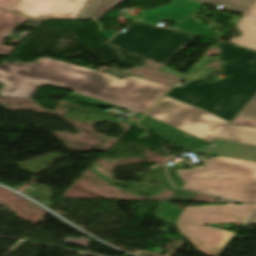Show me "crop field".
I'll list each match as a JSON object with an SVG mask.
<instances>
[{"label":"crop field","mask_w":256,"mask_h":256,"mask_svg":"<svg viewBox=\"0 0 256 256\" xmlns=\"http://www.w3.org/2000/svg\"><path fill=\"white\" fill-rule=\"evenodd\" d=\"M251 220V219H250ZM249 220V221H250ZM251 224H256V215L252 218V220L249 222Z\"/></svg>","instance_id":"crop-field-17"},{"label":"crop field","mask_w":256,"mask_h":256,"mask_svg":"<svg viewBox=\"0 0 256 256\" xmlns=\"http://www.w3.org/2000/svg\"><path fill=\"white\" fill-rule=\"evenodd\" d=\"M198 36L134 21L110 44L150 61L167 66Z\"/></svg>","instance_id":"crop-field-7"},{"label":"crop field","mask_w":256,"mask_h":256,"mask_svg":"<svg viewBox=\"0 0 256 256\" xmlns=\"http://www.w3.org/2000/svg\"><path fill=\"white\" fill-rule=\"evenodd\" d=\"M19 0H0V7L10 9L12 8Z\"/></svg>","instance_id":"crop-field-15"},{"label":"crop field","mask_w":256,"mask_h":256,"mask_svg":"<svg viewBox=\"0 0 256 256\" xmlns=\"http://www.w3.org/2000/svg\"><path fill=\"white\" fill-rule=\"evenodd\" d=\"M255 209V204L239 206L233 203L187 207L184 208L175 225L195 245L198 251L209 256H217L235 233L202 225L217 223L244 224Z\"/></svg>","instance_id":"crop-field-6"},{"label":"crop field","mask_w":256,"mask_h":256,"mask_svg":"<svg viewBox=\"0 0 256 256\" xmlns=\"http://www.w3.org/2000/svg\"><path fill=\"white\" fill-rule=\"evenodd\" d=\"M169 5L145 11L137 16V20L157 25L167 19L178 24L174 29L194 33L202 36L220 39L223 36L217 35L207 26L193 19L189 14L203 5V3L191 0H170Z\"/></svg>","instance_id":"crop-field-8"},{"label":"crop field","mask_w":256,"mask_h":256,"mask_svg":"<svg viewBox=\"0 0 256 256\" xmlns=\"http://www.w3.org/2000/svg\"><path fill=\"white\" fill-rule=\"evenodd\" d=\"M123 0H88L78 18L95 19L102 17Z\"/></svg>","instance_id":"crop-field-12"},{"label":"crop field","mask_w":256,"mask_h":256,"mask_svg":"<svg viewBox=\"0 0 256 256\" xmlns=\"http://www.w3.org/2000/svg\"><path fill=\"white\" fill-rule=\"evenodd\" d=\"M139 124L192 152L256 161V128L229 125L202 109L166 96ZM193 135L190 138L184 134Z\"/></svg>","instance_id":"crop-field-1"},{"label":"crop field","mask_w":256,"mask_h":256,"mask_svg":"<svg viewBox=\"0 0 256 256\" xmlns=\"http://www.w3.org/2000/svg\"><path fill=\"white\" fill-rule=\"evenodd\" d=\"M201 170L177 171L184 189L237 202H256V162L218 156L204 160Z\"/></svg>","instance_id":"crop-field-3"},{"label":"crop field","mask_w":256,"mask_h":256,"mask_svg":"<svg viewBox=\"0 0 256 256\" xmlns=\"http://www.w3.org/2000/svg\"><path fill=\"white\" fill-rule=\"evenodd\" d=\"M28 20L29 18L0 9V53L9 54L14 49L1 44L5 37L11 34L18 25L26 23Z\"/></svg>","instance_id":"crop-field-11"},{"label":"crop field","mask_w":256,"mask_h":256,"mask_svg":"<svg viewBox=\"0 0 256 256\" xmlns=\"http://www.w3.org/2000/svg\"><path fill=\"white\" fill-rule=\"evenodd\" d=\"M221 55L216 59L204 56L185 75L168 69L162 71L192 80L216 71L205 67L220 60L223 71L231 78L210 83L207 78L174 87L168 96L205 109L227 121L235 118L256 94V51L218 42Z\"/></svg>","instance_id":"crop-field-2"},{"label":"crop field","mask_w":256,"mask_h":256,"mask_svg":"<svg viewBox=\"0 0 256 256\" xmlns=\"http://www.w3.org/2000/svg\"><path fill=\"white\" fill-rule=\"evenodd\" d=\"M94 73V70L51 58H41L33 64L3 62L0 83L5 87L0 94L31 98L42 84L74 91Z\"/></svg>","instance_id":"crop-field-4"},{"label":"crop field","mask_w":256,"mask_h":256,"mask_svg":"<svg viewBox=\"0 0 256 256\" xmlns=\"http://www.w3.org/2000/svg\"><path fill=\"white\" fill-rule=\"evenodd\" d=\"M231 124L241 125V126H249V127H256V120L236 117L234 120L231 121Z\"/></svg>","instance_id":"crop-field-14"},{"label":"crop field","mask_w":256,"mask_h":256,"mask_svg":"<svg viewBox=\"0 0 256 256\" xmlns=\"http://www.w3.org/2000/svg\"><path fill=\"white\" fill-rule=\"evenodd\" d=\"M208 4H223L228 9L244 12L246 15L237 25L243 33L233 37L229 43L256 49V0H194Z\"/></svg>","instance_id":"crop-field-10"},{"label":"crop field","mask_w":256,"mask_h":256,"mask_svg":"<svg viewBox=\"0 0 256 256\" xmlns=\"http://www.w3.org/2000/svg\"><path fill=\"white\" fill-rule=\"evenodd\" d=\"M87 0H20L11 10L36 18H77Z\"/></svg>","instance_id":"crop-field-9"},{"label":"crop field","mask_w":256,"mask_h":256,"mask_svg":"<svg viewBox=\"0 0 256 256\" xmlns=\"http://www.w3.org/2000/svg\"><path fill=\"white\" fill-rule=\"evenodd\" d=\"M114 33L115 31L107 30L106 32L100 31L99 35L103 36L106 39H109Z\"/></svg>","instance_id":"crop-field-16"},{"label":"crop field","mask_w":256,"mask_h":256,"mask_svg":"<svg viewBox=\"0 0 256 256\" xmlns=\"http://www.w3.org/2000/svg\"><path fill=\"white\" fill-rule=\"evenodd\" d=\"M168 88L142 78L119 79L96 72L70 97L106 103L144 115Z\"/></svg>","instance_id":"crop-field-5"},{"label":"crop field","mask_w":256,"mask_h":256,"mask_svg":"<svg viewBox=\"0 0 256 256\" xmlns=\"http://www.w3.org/2000/svg\"><path fill=\"white\" fill-rule=\"evenodd\" d=\"M238 116L256 119V96L247 104Z\"/></svg>","instance_id":"crop-field-13"}]
</instances>
